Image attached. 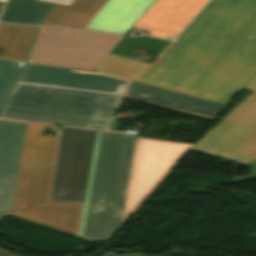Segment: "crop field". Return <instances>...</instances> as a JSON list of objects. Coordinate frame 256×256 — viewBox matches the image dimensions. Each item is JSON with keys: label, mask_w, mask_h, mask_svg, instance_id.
Listing matches in <instances>:
<instances>
[{"label": "crop field", "mask_w": 256, "mask_h": 256, "mask_svg": "<svg viewBox=\"0 0 256 256\" xmlns=\"http://www.w3.org/2000/svg\"><path fill=\"white\" fill-rule=\"evenodd\" d=\"M157 65L108 54L93 71L228 105L256 73V0H212Z\"/></svg>", "instance_id": "crop-field-1"}, {"label": "crop field", "mask_w": 256, "mask_h": 256, "mask_svg": "<svg viewBox=\"0 0 256 256\" xmlns=\"http://www.w3.org/2000/svg\"><path fill=\"white\" fill-rule=\"evenodd\" d=\"M124 97L213 121L226 107L101 73L25 64L0 117L106 129Z\"/></svg>", "instance_id": "crop-field-2"}, {"label": "crop field", "mask_w": 256, "mask_h": 256, "mask_svg": "<svg viewBox=\"0 0 256 256\" xmlns=\"http://www.w3.org/2000/svg\"><path fill=\"white\" fill-rule=\"evenodd\" d=\"M192 146L97 131L78 237L110 240Z\"/></svg>", "instance_id": "crop-field-3"}, {"label": "crop field", "mask_w": 256, "mask_h": 256, "mask_svg": "<svg viewBox=\"0 0 256 256\" xmlns=\"http://www.w3.org/2000/svg\"><path fill=\"white\" fill-rule=\"evenodd\" d=\"M28 122L11 215L77 236L96 130Z\"/></svg>", "instance_id": "crop-field-4"}, {"label": "crop field", "mask_w": 256, "mask_h": 256, "mask_svg": "<svg viewBox=\"0 0 256 256\" xmlns=\"http://www.w3.org/2000/svg\"><path fill=\"white\" fill-rule=\"evenodd\" d=\"M123 36L43 26L26 63L92 70Z\"/></svg>", "instance_id": "crop-field-5"}, {"label": "crop field", "mask_w": 256, "mask_h": 256, "mask_svg": "<svg viewBox=\"0 0 256 256\" xmlns=\"http://www.w3.org/2000/svg\"><path fill=\"white\" fill-rule=\"evenodd\" d=\"M243 90L252 93L190 150L244 165L256 156V74Z\"/></svg>", "instance_id": "crop-field-6"}, {"label": "crop field", "mask_w": 256, "mask_h": 256, "mask_svg": "<svg viewBox=\"0 0 256 256\" xmlns=\"http://www.w3.org/2000/svg\"><path fill=\"white\" fill-rule=\"evenodd\" d=\"M156 0H74L56 4L42 23L126 34Z\"/></svg>", "instance_id": "crop-field-7"}, {"label": "crop field", "mask_w": 256, "mask_h": 256, "mask_svg": "<svg viewBox=\"0 0 256 256\" xmlns=\"http://www.w3.org/2000/svg\"><path fill=\"white\" fill-rule=\"evenodd\" d=\"M208 0H157L133 26L149 31V36L171 39Z\"/></svg>", "instance_id": "crop-field-8"}, {"label": "crop field", "mask_w": 256, "mask_h": 256, "mask_svg": "<svg viewBox=\"0 0 256 256\" xmlns=\"http://www.w3.org/2000/svg\"><path fill=\"white\" fill-rule=\"evenodd\" d=\"M26 124L0 119V212L9 215Z\"/></svg>", "instance_id": "crop-field-9"}, {"label": "crop field", "mask_w": 256, "mask_h": 256, "mask_svg": "<svg viewBox=\"0 0 256 256\" xmlns=\"http://www.w3.org/2000/svg\"><path fill=\"white\" fill-rule=\"evenodd\" d=\"M36 28L0 23V57L25 61Z\"/></svg>", "instance_id": "crop-field-10"}, {"label": "crop field", "mask_w": 256, "mask_h": 256, "mask_svg": "<svg viewBox=\"0 0 256 256\" xmlns=\"http://www.w3.org/2000/svg\"><path fill=\"white\" fill-rule=\"evenodd\" d=\"M52 6L34 0H8L1 22L39 25Z\"/></svg>", "instance_id": "crop-field-11"}, {"label": "crop field", "mask_w": 256, "mask_h": 256, "mask_svg": "<svg viewBox=\"0 0 256 256\" xmlns=\"http://www.w3.org/2000/svg\"><path fill=\"white\" fill-rule=\"evenodd\" d=\"M14 63L15 61L0 59V108L21 70Z\"/></svg>", "instance_id": "crop-field-12"}, {"label": "crop field", "mask_w": 256, "mask_h": 256, "mask_svg": "<svg viewBox=\"0 0 256 256\" xmlns=\"http://www.w3.org/2000/svg\"><path fill=\"white\" fill-rule=\"evenodd\" d=\"M43 1L59 3V4H63V5L69 6L73 0H43Z\"/></svg>", "instance_id": "crop-field-13"}, {"label": "crop field", "mask_w": 256, "mask_h": 256, "mask_svg": "<svg viewBox=\"0 0 256 256\" xmlns=\"http://www.w3.org/2000/svg\"><path fill=\"white\" fill-rule=\"evenodd\" d=\"M176 43L175 42H173L170 46H169V48L158 58V60L154 63V64H158L161 60H162V58L172 49V47L175 45Z\"/></svg>", "instance_id": "crop-field-14"}, {"label": "crop field", "mask_w": 256, "mask_h": 256, "mask_svg": "<svg viewBox=\"0 0 256 256\" xmlns=\"http://www.w3.org/2000/svg\"><path fill=\"white\" fill-rule=\"evenodd\" d=\"M102 256H144V255H140V254L117 255V254L106 252Z\"/></svg>", "instance_id": "crop-field-15"}, {"label": "crop field", "mask_w": 256, "mask_h": 256, "mask_svg": "<svg viewBox=\"0 0 256 256\" xmlns=\"http://www.w3.org/2000/svg\"><path fill=\"white\" fill-rule=\"evenodd\" d=\"M0 256H14V255L6 251L0 250Z\"/></svg>", "instance_id": "crop-field-16"}, {"label": "crop field", "mask_w": 256, "mask_h": 256, "mask_svg": "<svg viewBox=\"0 0 256 256\" xmlns=\"http://www.w3.org/2000/svg\"><path fill=\"white\" fill-rule=\"evenodd\" d=\"M1 8H2V6H0V11H1Z\"/></svg>", "instance_id": "crop-field-17"}]
</instances>
